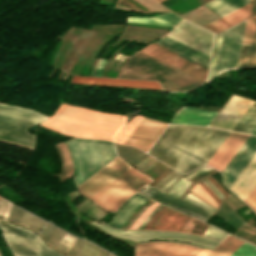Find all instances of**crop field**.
Returning <instances> with one entry per match:
<instances>
[{
	"mask_svg": "<svg viewBox=\"0 0 256 256\" xmlns=\"http://www.w3.org/2000/svg\"><path fill=\"white\" fill-rule=\"evenodd\" d=\"M229 133L210 128L170 125L148 153L185 174L207 164Z\"/></svg>",
	"mask_w": 256,
	"mask_h": 256,
	"instance_id": "crop-field-1",
	"label": "crop field"
},
{
	"mask_svg": "<svg viewBox=\"0 0 256 256\" xmlns=\"http://www.w3.org/2000/svg\"><path fill=\"white\" fill-rule=\"evenodd\" d=\"M124 124L125 116L103 114L62 104L41 125L74 137L113 140Z\"/></svg>",
	"mask_w": 256,
	"mask_h": 256,
	"instance_id": "crop-field-2",
	"label": "crop field"
},
{
	"mask_svg": "<svg viewBox=\"0 0 256 256\" xmlns=\"http://www.w3.org/2000/svg\"><path fill=\"white\" fill-rule=\"evenodd\" d=\"M75 165L76 187L116 156L113 143L74 139L66 141Z\"/></svg>",
	"mask_w": 256,
	"mask_h": 256,
	"instance_id": "crop-field-3",
	"label": "crop field"
},
{
	"mask_svg": "<svg viewBox=\"0 0 256 256\" xmlns=\"http://www.w3.org/2000/svg\"><path fill=\"white\" fill-rule=\"evenodd\" d=\"M46 117L25 109L0 104V141L34 149L36 139L26 130Z\"/></svg>",
	"mask_w": 256,
	"mask_h": 256,
	"instance_id": "crop-field-4",
	"label": "crop field"
},
{
	"mask_svg": "<svg viewBox=\"0 0 256 256\" xmlns=\"http://www.w3.org/2000/svg\"><path fill=\"white\" fill-rule=\"evenodd\" d=\"M150 181L131 167L91 199L103 208L115 211L127 198Z\"/></svg>",
	"mask_w": 256,
	"mask_h": 256,
	"instance_id": "crop-field-5",
	"label": "crop field"
},
{
	"mask_svg": "<svg viewBox=\"0 0 256 256\" xmlns=\"http://www.w3.org/2000/svg\"><path fill=\"white\" fill-rule=\"evenodd\" d=\"M3 236L16 256H63L48 248L37 234L0 220Z\"/></svg>",
	"mask_w": 256,
	"mask_h": 256,
	"instance_id": "crop-field-6",
	"label": "crop field"
},
{
	"mask_svg": "<svg viewBox=\"0 0 256 256\" xmlns=\"http://www.w3.org/2000/svg\"><path fill=\"white\" fill-rule=\"evenodd\" d=\"M92 224L98 226L103 231L115 237H122L126 239L137 240V241L174 240V241L188 242V243L196 244V245L203 246L210 249H213L215 246H217L220 243L218 241L186 235V234L154 233V232H143V231H115L110 228L104 227L94 221L92 222Z\"/></svg>",
	"mask_w": 256,
	"mask_h": 256,
	"instance_id": "crop-field-7",
	"label": "crop field"
},
{
	"mask_svg": "<svg viewBox=\"0 0 256 256\" xmlns=\"http://www.w3.org/2000/svg\"><path fill=\"white\" fill-rule=\"evenodd\" d=\"M168 36L210 56L214 34L184 21Z\"/></svg>",
	"mask_w": 256,
	"mask_h": 256,
	"instance_id": "crop-field-8",
	"label": "crop field"
},
{
	"mask_svg": "<svg viewBox=\"0 0 256 256\" xmlns=\"http://www.w3.org/2000/svg\"><path fill=\"white\" fill-rule=\"evenodd\" d=\"M245 21L225 30L216 74L222 70L236 68Z\"/></svg>",
	"mask_w": 256,
	"mask_h": 256,
	"instance_id": "crop-field-9",
	"label": "crop field"
},
{
	"mask_svg": "<svg viewBox=\"0 0 256 256\" xmlns=\"http://www.w3.org/2000/svg\"><path fill=\"white\" fill-rule=\"evenodd\" d=\"M130 167L121 159L116 158L80 185L79 189L82 194L91 198Z\"/></svg>",
	"mask_w": 256,
	"mask_h": 256,
	"instance_id": "crop-field-10",
	"label": "crop field"
},
{
	"mask_svg": "<svg viewBox=\"0 0 256 256\" xmlns=\"http://www.w3.org/2000/svg\"><path fill=\"white\" fill-rule=\"evenodd\" d=\"M256 155V136L250 135L222 171L224 184L229 188Z\"/></svg>",
	"mask_w": 256,
	"mask_h": 256,
	"instance_id": "crop-field-11",
	"label": "crop field"
},
{
	"mask_svg": "<svg viewBox=\"0 0 256 256\" xmlns=\"http://www.w3.org/2000/svg\"><path fill=\"white\" fill-rule=\"evenodd\" d=\"M202 249L173 242L137 244L135 256H195Z\"/></svg>",
	"mask_w": 256,
	"mask_h": 256,
	"instance_id": "crop-field-12",
	"label": "crop field"
},
{
	"mask_svg": "<svg viewBox=\"0 0 256 256\" xmlns=\"http://www.w3.org/2000/svg\"><path fill=\"white\" fill-rule=\"evenodd\" d=\"M166 125V123L144 117L125 144L147 151Z\"/></svg>",
	"mask_w": 256,
	"mask_h": 256,
	"instance_id": "crop-field-13",
	"label": "crop field"
},
{
	"mask_svg": "<svg viewBox=\"0 0 256 256\" xmlns=\"http://www.w3.org/2000/svg\"><path fill=\"white\" fill-rule=\"evenodd\" d=\"M252 103L253 101L245 98L232 96L221 113L219 112L220 114L209 126L232 130Z\"/></svg>",
	"mask_w": 256,
	"mask_h": 256,
	"instance_id": "crop-field-14",
	"label": "crop field"
},
{
	"mask_svg": "<svg viewBox=\"0 0 256 256\" xmlns=\"http://www.w3.org/2000/svg\"><path fill=\"white\" fill-rule=\"evenodd\" d=\"M140 51L205 81L207 72L206 69L168 51H165L153 44L146 46Z\"/></svg>",
	"mask_w": 256,
	"mask_h": 256,
	"instance_id": "crop-field-15",
	"label": "crop field"
},
{
	"mask_svg": "<svg viewBox=\"0 0 256 256\" xmlns=\"http://www.w3.org/2000/svg\"><path fill=\"white\" fill-rule=\"evenodd\" d=\"M140 193L158 201L161 202L167 206H170L174 209L180 210L182 212L188 213L190 215H193L197 218H200L204 221H207L208 218L211 216V213L198 208L194 205H191L189 203H186L180 199H177L175 197L169 196L161 191H158L148 185L145 186V189L141 191Z\"/></svg>",
	"mask_w": 256,
	"mask_h": 256,
	"instance_id": "crop-field-16",
	"label": "crop field"
},
{
	"mask_svg": "<svg viewBox=\"0 0 256 256\" xmlns=\"http://www.w3.org/2000/svg\"><path fill=\"white\" fill-rule=\"evenodd\" d=\"M256 67V16L246 21L237 68Z\"/></svg>",
	"mask_w": 256,
	"mask_h": 256,
	"instance_id": "crop-field-17",
	"label": "crop field"
},
{
	"mask_svg": "<svg viewBox=\"0 0 256 256\" xmlns=\"http://www.w3.org/2000/svg\"><path fill=\"white\" fill-rule=\"evenodd\" d=\"M249 135L231 132L208 165L222 171Z\"/></svg>",
	"mask_w": 256,
	"mask_h": 256,
	"instance_id": "crop-field-18",
	"label": "crop field"
},
{
	"mask_svg": "<svg viewBox=\"0 0 256 256\" xmlns=\"http://www.w3.org/2000/svg\"><path fill=\"white\" fill-rule=\"evenodd\" d=\"M217 113L182 107L170 123L207 126Z\"/></svg>",
	"mask_w": 256,
	"mask_h": 256,
	"instance_id": "crop-field-19",
	"label": "crop field"
},
{
	"mask_svg": "<svg viewBox=\"0 0 256 256\" xmlns=\"http://www.w3.org/2000/svg\"><path fill=\"white\" fill-rule=\"evenodd\" d=\"M231 195H229V196H227V197H225L224 199L225 200H227V201H229L231 204H232V206L235 208V209H237V207L229 200V199H231L239 208H240V206L235 202V201H237L236 199H234L232 196V198L235 200H233L231 197H230ZM229 198V199H228ZM224 199H222L221 200V203H220V205H219V208L218 209H220L222 212H224L225 214H227L228 216H230L231 218H233L235 221H237L239 224H241L242 226L243 225H245V224H247L245 221H243L241 218H240V216L236 213V211L231 207V205L228 203V202H226ZM238 202V201H237ZM239 204H241L240 202H238ZM242 205V204H241ZM242 206H244V205H242ZM217 209V211L220 213V214H222L223 216H225L227 219H229L231 222H233L234 224H236L238 227H242V226H240L238 223H236L234 220H232L230 217H228L227 215H225L224 213H222L221 211H219ZM217 212V213H218ZM216 213V212H215ZM216 213V214H217ZM221 215V216H222ZM220 216V215H219ZM220 216V217H221ZM222 216V217H223ZM221 217V218H222ZM224 219V218H223ZM227 221V220H226ZM229 222V221H228ZM230 223V222H229ZM230 224H232V223H230ZM233 225V224H232ZM234 226V225H233ZM235 228H237L236 226H234ZM243 228H245V229H247V230H250V231H254V232H256V230H254V229H251V228H249V227H247V226H243ZM237 229H239V228H237ZM242 229V228H241ZM240 229V230H241ZM239 230V231H240ZM246 230V231H247ZM239 231H237V233H239V234H242V235H244V236H246V237H249V238H251V239H254V240H256V237H253V236H250V235H248V234H245V233H242V232H239ZM245 231V232H246ZM237 233H235V236H237V237H240V238H242V239H244V240H247V241H249V242H252V243H254V244H256V241H253V240H251V239H249V238H246V237H244V236H241V235H239V234H237ZM249 233V232H248ZM252 233V232H251ZM254 234V233H253Z\"/></svg>",
	"mask_w": 256,
	"mask_h": 256,
	"instance_id": "crop-field-20",
	"label": "crop field"
},
{
	"mask_svg": "<svg viewBox=\"0 0 256 256\" xmlns=\"http://www.w3.org/2000/svg\"><path fill=\"white\" fill-rule=\"evenodd\" d=\"M256 184V156L230 188L243 200Z\"/></svg>",
	"mask_w": 256,
	"mask_h": 256,
	"instance_id": "crop-field-21",
	"label": "crop field"
},
{
	"mask_svg": "<svg viewBox=\"0 0 256 256\" xmlns=\"http://www.w3.org/2000/svg\"><path fill=\"white\" fill-rule=\"evenodd\" d=\"M72 82L161 90L159 83H152V82L84 78V77H76V76H74V78L72 79Z\"/></svg>",
	"mask_w": 256,
	"mask_h": 256,
	"instance_id": "crop-field-22",
	"label": "crop field"
},
{
	"mask_svg": "<svg viewBox=\"0 0 256 256\" xmlns=\"http://www.w3.org/2000/svg\"><path fill=\"white\" fill-rule=\"evenodd\" d=\"M148 199L135 194L118 210L113 220L108 224L115 228H120L129 217Z\"/></svg>",
	"mask_w": 256,
	"mask_h": 256,
	"instance_id": "crop-field-23",
	"label": "crop field"
},
{
	"mask_svg": "<svg viewBox=\"0 0 256 256\" xmlns=\"http://www.w3.org/2000/svg\"><path fill=\"white\" fill-rule=\"evenodd\" d=\"M158 44L172 50L175 51L189 59H192L202 65L208 66V62H209V56L196 51L184 44H181L171 38H167L161 42H159Z\"/></svg>",
	"mask_w": 256,
	"mask_h": 256,
	"instance_id": "crop-field-24",
	"label": "crop field"
},
{
	"mask_svg": "<svg viewBox=\"0 0 256 256\" xmlns=\"http://www.w3.org/2000/svg\"><path fill=\"white\" fill-rule=\"evenodd\" d=\"M248 3L250 0H211L203 5L221 18Z\"/></svg>",
	"mask_w": 256,
	"mask_h": 256,
	"instance_id": "crop-field-25",
	"label": "crop field"
},
{
	"mask_svg": "<svg viewBox=\"0 0 256 256\" xmlns=\"http://www.w3.org/2000/svg\"><path fill=\"white\" fill-rule=\"evenodd\" d=\"M183 21L182 18L172 14H164L160 16H156L154 18H142V17H129L127 22H141L148 24H156V25H164L174 27L176 24Z\"/></svg>",
	"mask_w": 256,
	"mask_h": 256,
	"instance_id": "crop-field-26",
	"label": "crop field"
},
{
	"mask_svg": "<svg viewBox=\"0 0 256 256\" xmlns=\"http://www.w3.org/2000/svg\"><path fill=\"white\" fill-rule=\"evenodd\" d=\"M243 242L229 236L218 247H216L208 256H230Z\"/></svg>",
	"mask_w": 256,
	"mask_h": 256,
	"instance_id": "crop-field-27",
	"label": "crop field"
},
{
	"mask_svg": "<svg viewBox=\"0 0 256 256\" xmlns=\"http://www.w3.org/2000/svg\"><path fill=\"white\" fill-rule=\"evenodd\" d=\"M256 124V102L249 108L242 119L234 127V131L249 133Z\"/></svg>",
	"mask_w": 256,
	"mask_h": 256,
	"instance_id": "crop-field-28",
	"label": "crop field"
},
{
	"mask_svg": "<svg viewBox=\"0 0 256 256\" xmlns=\"http://www.w3.org/2000/svg\"><path fill=\"white\" fill-rule=\"evenodd\" d=\"M30 216L31 214L27 213V212H24L23 216H22V219L20 221V225H24V226H27L28 222H29V219H30ZM35 216H31V219H30V222L29 224L31 223V221L34 219ZM39 221V218L35 217V219L32 221V223L29 225L28 228L32 229L34 228V226L36 225V223ZM47 222L43 221L40 219V221L38 222V224L35 226L34 230L38 233L41 232V230L43 229L44 225L46 224ZM52 225L50 224H46L43 231L40 233L41 237L43 238V236L46 234V232L50 229Z\"/></svg>",
	"mask_w": 256,
	"mask_h": 256,
	"instance_id": "crop-field-29",
	"label": "crop field"
},
{
	"mask_svg": "<svg viewBox=\"0 0 256 256\" xmlns=\"http://www.w3.org/2000/svg\"><path fill=\"white\" fill-rule=\"evenodd\" d=\"M60 156L62 159V164H63V169L61 173L62 178H71L72 177V163H71V158L69 156L68 150L66 145L62 142L60 144L55 145Z\"/></svg>",
	"mask_w": 256,
	"mask_h": 256,
	"instance_id": "crop-field-30",
	"label": "crop field"
},
{
	"mask_svg": "<svg viewBox=\"0 0 256 256\" xmlns=\"http://www.w3.org/2000/svg\"><path fill=\"white\" fill-rule=\"evenodd\" d=\"M209 169H211V168L205 166L201 169L196 170L195 172H193L192 174L188 175L185 178L190 180V179L196 177L197 175L201 174L202 172L209 170ZM185 178L182 177L180 179V181L168 193L180 198L183 190L191 183L190 181L186 180Z\"/></svg>",
	"mask_w": 256,
	"mask_h": 256,
	"instance_id": "crop-field-31",
	"label": "crop field"
},
{
	"mask_svg": "<svg viewBox=\"0 0 256 256\" xmlns=\"http://www.w3.org/2000/svg\"><path fill=\"white\" fill-rule=\"evenodd\" d=\"M115 146H116L118 156L123 158V159L129 157L130 155H132V154H134L135 152L138 151V150L133 149V148L123 147V146H119V145H116V144H115ZM140 153H142V152L139 151V152L135 153L134 155L130 156L129 158H127L125 160L128 161V160L134 158L135 156H137ZM147 157H149V156L142 153V154L138 155L136 158H134L133 160L129 161V163L134 165V164L140 162L141 160H143Z\"/></svg>",
	"mask_w": 256,
	"mask_h": 256,
	"instance_id": "crop-field-32",
	"label": "crop field"
},
{
	"mask_svg": "<svg viewBox=\"0 0 256 256\" xmlns=\"http://www.w3.org/2000/svg\"><path fill=\"white\" fill-rule=\"evenodd\" d=\"M223 33H224V31L217 34L215 37V42H214L212 58H211V63H210L207 80L211 79L215 75L219 52H220L221 43H222V38H223Z\"/></svg>",
	"mask_w": 256,
	"mask_h": 256,
	"instance_id": "crop-field-33",
	"label": "crop field"
},
{
	"mask_svg": "<svg viewBox=\"0 0 256 256\" xmlns=\"http://www.w3.org/2000/svg\"><path fill=\"white\" fill-rule=\"evenodd\" d=\"M250 16V4L236 10L235 12L221 18L228 24L232 25L246 17Z\"/></svg>",
	"mask_w": 256,
	"mask_h": 256,
	"instance_id": "crop-field-34",
	"label": "crop field"
},
{
	"mask_svg": "<svg viewBox=\"0 0 256 256\" xmlns=\"http://www.w3.org/2000/svg\"><path fill=\"white\" fill-rule=\"evenodd\" d=\"M142 118H143L142 116L134 117V119L131 122H129L125 125V127L122 129V131L119 133V135L116 137V139L114 141L124 143L125 140L128 138V136L135 129V127L142 120Z\"/></svg>",
	"mask_w": 256,
	"mask_h": 256,
	"instance_id": "crop-field-35",
	"label": "crop field"
},
{
	"mask_svg": "<svg viewBox=\"0 0 256 256\" xmlns=\"http://www.w3.org/2000/svg\"><path fill=\"white\" fill-rule=\"evenodd\" d=\"M112 256L111 254L107 253L103 249L89 243L84 242L82 250L77 256Z\"/></svg>",
	"mask_w": 256,
	"mask_h": 256,
	"instance_id": "crop-field-36",
	"label": "crop field"
},
{
	"mask_svg": "<svg viewBox=\"0 0 256 256\" xmlns=\"http://www.w3.org/2000/svg\"><path fill=\"white\" fill-rule=\"evenodd\" d=\"M189 193L193 194L194 196L198 197L199 199L203 200L207 204L217 209L218 204L212 199V197L203 189V187L199 183L196 184Z\"/></svg>",
	"mask_w": 256,
	"mask_h": 256,
	"instance_id": "crop-field-37",
	"label": "crop field"
},
{
	"mask_svg": "<svg viewBox=\"0 0 256 256\" xmlns=\"http://www.w3.org/2000/svg\"><path fill=\"white\" fill-rule=\"evenodd\" d=\"M86 201H88V199L87 200H85V201H83L82 203H80V204H78L76 207H77V209L80 207V206H82ZM91 201L89 200L87 203H85L81 208H79V210L81 211L85 206H87L89 203H90ZM95 206V204H93L92 202L87 206V207H85L81 212H83V213H87V212H89L93 207ZM99 209H101V208H99V207H97V206H95L89 213H87L86 215H88V216H92V215H94ZM106 213V211H104V210H100V211H98L94 216H92V218H95V219H97V220H99L104 214Z\"/></svg>",
	"mask_w": 256,
	"mask_h": 256,
	"instance_id": "crop-field-38",
	"label": "crop field"
},
{
	"mask_svg": "<svg viewBox=\"0 0 256 256\" xmlns=\"http://www.w3.org/2000/svg\"><path fill=\"white\" fill-rule=\"evenodd\" d=\"M231 256H256V248L244 243Z\"/></svg>",
	"mask_w": 256,
	"mask_h": 256,
	"instance_id": "crop-field-39",
	"label": "crop field"
},
{
	"mask_svg": "<svg viewBox=\"0 0 256 256\" xmlns=\"http://www.w3.org/2000/svg\"><path fill=\"white\" fill-rule=\"evenodd\" d=\"M227 235L228 234H226L220 230H217L211 226H209L208 229L203 234V236L218 239V240H223Z\"/></svg>",
	"mask_w": 256,
	"mask_h": 256,
	"instance_id": "crop-field-40",
	"label": "crop field"
},
{
	"mask_svg": "<svg viewBox=\"0 0 256 256\" xmlns=\"http://www.w3.org/2000/svg\"><path fill=\"white\" fill-rule=\"evenodd\" d=\"M203 27H205V28H207V29H209V30H211V31H213V32H215V33H218V32H220V31H222V30L228 28L229 26L226 25V24H225L223 21H221L220 19H218V20H216V21H214V22H212V23H209V24H207V25H205V26H203Z\"/></svg>",
	"mask_w": 256,
	"mask_h": 256,
	"instance_id": "crop-field-41",
	"label": "crop field"
},
{
	"mask_svg": "<svg viewBox=\"0 0 256 256\" xmlns=\"http://www.w3.org/2000/svg\"><path fill=\"white\" fill-rule=\"evenodd\" d=\"M65 232L61 231L60 229L57 228L55 233L52 235V237L49 239L47 244H49L52 248L55 249L57 244L60 242L62 237L64 236Z\"/></svg>",
	"mask_w": 256,
	"mask_h": 256,
	"instance_id": "crop-field-42",
	"label": "crop field"
},
{
	"mask_svg": "<svg viewBox=\"0 0 256 256\" xmlns=\"http://www.w3.org/2000/svg\"><path fill=\"white\" fill-rule=\"evenodd\" d=\"M17 208H18V207H16V206L13 205L12 210L10 211V213H9L7 219H6L7 221H10V222L13 221V217H14V214H15ZM23 212H24L23 210L18 209V211H17V213H16V215H15V217H14V221H13L14 223H17V224L19 223Z\"/></svg>",
	"mask_w": 256,
	"mask_h": 256,
	"instance_id": "crop-field-43",
	"label": "crop field"
},
{
	"mask_svg": "<svg viewBox=\"0 0 256 256\" xmlns=\"http://www.w3.org/2000/svg\"><path fill=\"white\" fill-rule=\"evenodd\" d=\"M185 201L193 203L195 205L201 206L203 208H206L210 211H215V209L211 208L210 206H208L207 204L203 203L202 201H200L199 199H197L196 197L192 196L191 194H187Z\"/></svg>",
	"mask_w": 256,
	"mask_h": 256,
	"instance_id": "crop-field-44",
	"label": "crop field"
},
{
	"mask_svg": "<svg viewBox=\"0 0 256 256\" xmlns=\"http://www.w3.org/2000/svg\"><path fill=\"white\" fill-rule=\"evenodd\" d=\"M244 201L256 211V186L253 188V190L249 193Z\"/></svg>",
	"mask_w": 256,
	"mask_h": 256,
	"instance_id": "crop-field-45",
	"label": "crop field"
},
{
	"mask_svg": "<svg viewBox=\"0 0 256 256\" xmlns=\"http://www.w3.org/2000/svg\"><path fill=\"white\" fill-rule=\"evenodd\" d=\"M171 173H172V172H171ZM173 173H174V172H173ZM169 174H170V173H169ZM169 174H168V175H169ZM174 174H175V173H174ZM174 174H173V175H174ZM168 175H167V176H168ZM170 175H171V174H170ZM170 175H169V176H170ZM176 175H177V174H175L173 177H175ZM177 176H178V175H177ZM177 176H176V177H177ZM170 177H171V176H170ZM170 177H169V178H170ZM173 177H171L170 179L168 178L169 180L167 179V180H168L167 182L164 181L165 183L163 182L164 184L162 183L163 185L161 184V185H162L161 187H163L166 183H168ZM176 177H175V178H176ZM175 178H174V179H175ZM179 178H180V176H179L175 181L172 179L174 182L171 180L173 183L170 181V182L172 183V184H171V183L169 182L171 185L168 183L170 186H169L168 184H166L165 186L168 185V186H169V187L167 186L168 188L165 187V186H164L165 188L163 187L164 189L161 188V187H159V186H158V187H159V189L161 188V190L163 189V191L167 188V189L165 190V192H166ZM163 179H164V178H163ZM163 179H162V180H163ZM165 179H166V178H165ZM165 179H164V180H165ZM161 182H162V181H161ZM161 182H160V183H161ZM160 183H159V184H160ZM159 184H158V185H159ZM156 185H157V184H156ZM156 185H155V186H156ZM155 186H154V187H155ZM173 186H174V185H173ZM173 186H172V187H173ZM158 187H157V188H158ZM172 187H171V188H172ZM171 188H170V189H171ZM170 189H169V190H170ZM169 190H168V191H169ZM168 191H167V192H168Z\"/></svg>",
	"mask_w": 256,
	"mask_h": 256,
	"instance_id": "crop-field-46",
	"label": "crop field"
},
{
	"mask_svg": "<svg viewBox=\"0 0 256 256\" xmlns=\"http://www.w3.org/2000/svg\"><path fill=\"white\" fill-rule=\"evenodd\" d=\"M216 171H217V170H216ZM216 171L213 172V173H211V174H209V175H207V176H205V177H203V178H201V179H198V180H196V181H194V182L198 183L199 181L203 180L204 178H206V177H208V176H210V175H213V174L217 173ZM194 185H195V183L192 182V183L185 189L184 193H183L182 196H181V199H184L185 195L188 193V191H189Z\"/></svg>",
	"mask_w": 256,
	"mask_h": 256,
	"instance_id": "crop-field-47",
	"label": "crop field"
},
{
	"mask_svg": "<svg viewBox=\"0 0 256 256\" xmlns=\"http://www.w3.org/2000/svg\"><path fill=\"white\" fill-rule=\"evenodd\" d=\"M153 201L149 202L147 205H145L140 212L132 219V221L127 225V227L125 229H129L130 226L135 222V220L147 209V207L152 204Z\"/></svg>",
	"mask_w": 256,
	"mask_h": 256,
	"instance_id": "crop-field-48",
	"label": "crop field"
},
{
	"mask_svg": "<svg viewBox=\"0 0 256 256\" xmlns=\"http://www.w3.org/2000/svg\"><path fill=\"white\" fill-rule=\"evenodd\" d=\"M78 237L76 238V241H75V243H74V245H73V247L70 249V251L67 253L68 255H70L71 254V252L73 251V249L75 248V246H76V244H77V242H78ZM81 239H79V242H78V244H77V246H76V248H75V250L72 252V254L70 255V256H73L75 253H76V251L78 250V248H79V246H80V244H81Z\"/></svg>",
	"mask_w": 256,
	"mask_h": 256,
	"instance_id": "crop-field-49",
	"label": "crop field"
},
{
	"mask_svg": "<svg viewBox=\"0 0 256 256\" xmlns=\"http://www.w3.org/2000/svg\"><path fill=\"white\" fill-rule=\"evenodd\" d=\"M147 159H148V158H147ZM153 159H154V158H152V157L149 158L148 160L145 159L146 161L143 160L144 162L141 161V162H143V163L140 162L141 164L138 163V164H140V165L137 164L138 166L136 165L137 167H135V166H134V167L138 169V168L142 167L143 165L147 164L148 162H150V161L153 160ZM154 160H155V159H154ZM150 163H151V162H150ZM147 165H148V164H147ZM147 165H145V166H147ZM145 166H143V167L140 168L139 170L143 169Z\"/></svg>",
	"mask_w": 256,
	"mask_h": 256,
	"instance_id": "crop-field-50",
	"label": "crop field"
},
{
	"mask_svg": "<svg viewBox=\"0 0 256 256\" xmlns=\"http://www.w3.org/2000/svg\"><path fill=\"white\" fill-rule=\"evenodd\" d=\"M56 230V227H53L48 231V233L44 236V240L47 242V240L51 237V235L53 234V232Z\"/></svg>",
	"mask_w": 256,
	"mask_h": 256,
	"instance_id": "crop-field-51",
	"label": "crop field"
},
{
	"mask_svg": "<svg viewBox=\"0 0 256 256\" xmlns=\"http://www.w3.org/2000/svg\"><path fill=\"white\" fill-rule=\"evenodd\" d=\"M124 33H129V34H138V35H143V36H149V37H156V38H160V36L147 35V34H140V33H142V32H140V33L124 32ZM129 34H125V35H129ZM148 34H149V33H148ZM138 35H136V36H138ZM161 35H163V34H161ZM132 36H135V35H132ZM143 36H141V37H143ZM149 37H148V38H149ZM156 38H153V39H156Z\"/></svg>",
	"mask_w": 256,
	"mask_h": 256,
	"instance_id": "crop-field-52",
	"label": "crop field"
},
{
	"mask_svg": "<svg viewBox=\"0 0 256 256\" xmlns=\"http://www.w3.org/2000/svg\"><path fill=\"white\" fill-rule=\"evenodd\" d=\"M79 194H80V193L78 192V190L68 193V195H69L71 201H72L74 198H76Z\"/></svg>",
	"mask_w": 256,
	"mask_h": 256,
	"instance_id": "crop-field-53",
	"label": "crop field"
},
{
	"mask_svg": "<svg viewBox=\"0 0 256 256\" xmlns=\"http://www.w3.org/2000/svg\"><path fill=\"white\" fill-rule=\"evenodd\" d=\"M209 253L210 251L203 249L197 256H207Z\"/></svg>",
	"mask_w": 256,
	"mask_h": 256,
	"instance_id": "crop-field-54",
	"label": "crop field"
},
{
	"mask_svg": "<svg viewBox=\"0 0 256 256\" xmlns=\"http://www.w3.org/2000/svg\"><path fill=\"white\" fill-rule=\"evenodd\" d=\"M11 205H12L11 203L7 202V209H6V214H5L4 219H6V217H7V215H8V212H9V209H10Z\"/></svg>",
	"mask_w": 256,
	"mask_h": 256,
	"instance_id": "crop-field-55",
	"label": "crop field"
},
{
	"mask_svg": "<svg viewBox=\"0 0 256 256\" xmlns=\"http://www.w3.org/2000/svg\"><path fill=\"white\" fill-rule=\"evenodd\" d=\"M158 161H154V162H152L150 165H148L146 168H144L142 171H147L149 168H151L155 163H157Z\"/></svg>",
	"mask_w": 256,
	"mask_h": 256,
	"instance_id": "crop-field-56",
	"label": "crop field"
},
{
	"mask_svg": "<svg viewBox=\"0 0 256 256\" xmlns=\"http://www.w3.org/2000/svg\"><path fill=\"white\" fill-rule=\"evenodd\" d=\"M251 134H256V126L251 130Z\"/></svg>",
	"mask_w": 256,
	"mask_h": 256,
	"instance_id": "crop-field-57",
	"label": "crop field"
},
{
	"mask_svg": "<svg viewBox=\"0 0 256 256\" xmlns=\"http://www.w3.org/2000/svg\"><path fill=\"white\" fill-rule=\"evenodd\" d=\"M152 212H153V210L151 211V213H152ZM151 213H150V214H151ZM150 214L148 215V217L150 216ZM148 217H147V218H148ZM147 218H146V219H147ZM146 219H145V220H146ZM145 220H144V221H145ZM143 223H144V222H143ZM143 223H142V224H143ZM142 224H141V225H142ZM141 225H140V226H141ZM140 226H139V228H140ZM139 228H138V229H139Z\"/></svg>",
	"mask_w": 256,
	"mask_h": 256,
	"instance_id": "crop-field-58",
	"label": "crop field"
},
{
	"mask_svg": "<svg viewBox=\"0 0 256 256\" xmlns=\"http://www.w3.org/2000/svg\"><path fill=\"white\" fill-rule=\"evenodd\" d=\"M82 243H83V241H82ZM81 246H82V244H81ZM80 249H81V247H80ZM80 249L78 250V252L74 256H76L79 253Z\"/></svg>",
	"mask_w": 256,
	"mask_h": 256,
	"instance_id": "crop-field-59",
	"label": "crop field"
},
{
	"mask_svg": "<svg viewBox=\"0 0 256 256\" xmlns=\"http://www.w3.org/2000/svg\"><path fill=\"white\" fill-rule=\"evenodd\" d=\"M0 199H2V198L0 197Z\"/></svg>",
	"mask_w": 256,
	"mask_h": 256,
	"instance_id": "crop-field-60",
	"label": "crop field"
},
{
	"mask_svg": "<svg viewBox=\"0 0 256 256\" xmlns=\"http://www.w3.org/2000/svg\"><path fill=\"white\" fill-rule=\"evenodd\" d=\"M1 256V255H0Z\"/></svg>",
	"mask_w": 256,
	"mask_h": 256,
	"instance_id": "crop-field-61",
	"label": "crop field"
}]
</instances>
